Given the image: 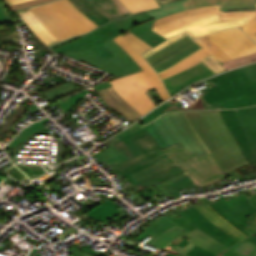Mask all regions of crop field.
<instances>
[{
  "instance_id": "8a807250",
  "label": "crop field",
  "mask_w": 256,
  "mask_h": 256,
  "mask_svg": "<svg viewBox=\"0 0 256 256\" xmlns=\"http://www.w3.org/2000/svg\"><path fill=\"white\" fill-rule=\"evenodd\" d=\"M202 83L207 87L198 90L201 98L193 103L194 106L184 107L178 103L172 107L165 103L139 121L146 124L165 112L240 108L256 104V90L242 68L222 73L216 77L194 84V86Z\"/></svg>"
},
{
  "instance_id": "ac0d7876",
  "label": "crop field",
  "mask_w": 256,
  "mask_h": 256,
  "mask_svg": "<svg viewBox=\"0 0 256 256\" xmlns=\"http://www.w3.org/2000/svg\"><path fill=\"white\" fill-rule=\"evenodd\" d=\"M17 13L32 32L48 47L98 27L81 14L68 0H56L18 10Z\"/></svg>"
},
{
  "instance_id": "34b2d1b8",
  "label": "crop field",
  "mask_w": 256,
  "mask_h": 256,
  "mask_svg": "<svg viewBox=\"0 0 256 256\" xmlns=\"http://www.w3.org/2000/svg\"><path fill=\"white\" fill-rule=\"evenodd\" d=\"M185 114L225 174L249 164L218 110Z\"/></svg>"
},
{
  "instance_id": "412701ff",
  "label": "crop field",
  "mask_w": 256,
  "mask_h": 256,
  "mask_svg": "<svg viewBox=\"0 0 256 256\" xmlns=\"http://www.w3.org/2000/svg\"><path fill=\"white\" fill-rule=\"evenodd\" d=\"M153 21L147 12L135 14L122 20H113L101 28L53 50L57 54H62L63 52L90 49L101 58L113 57L114 55L103 43L127 29L154 47L166 39L150 31Z\"/></svg>"
},
{
  "instance_id": "f4fd0767",
  "label": "crop field",
  "mask_w": 256,
  "mask_h": 256,
  "mask_svg": "<svg viewBox=\"0 0 256 256\" xmlns=\"http://www.w3.org/2000/svg\"><path fill=\"white\" fill-rule=\"evenodd\" d=\"M113 40L130 54L144 71L119 78L111 83L127 102L144 115L155 107L144 91L155 87L163 101L170 96L160 77L125 38L120 35Z\"/></svg>"
},
{
  "instance_id": "dd49c442",
  "label": "crop field",
  "mask_w": 256,
  "mask_h": 256,
  "mask_svg": "<svg viewBox=\"0 0 256 256\" xmlns=\"http://www.w3.org/2000/svg\"><path fill=\"white\" fill-rule=\"evenodd\" d=\"M143 152L120 164L111 166L120 177L126 176L135 186L176 166L147 132L131 138Z\"/></svg>"
},
{
  "instance_id": "e52e79f7",
  "label": "crop field",
  "mask_w": 256,
  "mask_h": 256,
  "mask_svg": "<svg viewBox=\"0 0 256 256\" xmlns=\"http://www.w3.org/2000/svg\"><path fill=\"white\" fill-rule=\"evenodd\" d=\"M180 113L190 132L194 135L207 154L203 156H199L197 153L190 154L183 148L179 149L176 144L163 149L164 153H167L179 166L205 186L226 178L227 176L219 168L205 144L186 119L184 113Z\"/></svg>"
},
{
  "instance_id": "d8731c3e",
  "label": "crop field",
  "mask_w": 256,
  "mask_h": 256,
  "mask_svg": "<svg viewBox=\"0 0 256 256\" xmlns=\"http://www.w3.org/2000/svg\"><path fill=\"white\" fill-rule=\"evenodd\" d=\"M219 111L244 157L250 164L256 162V106Z\"/></svg>"
},
{
  "instance_id": "5a996713",
  "label": "crop field",
  "mask_w": 256,
  "mask_h": 256,
  "mask_svg": "<svg viewBox=\"0 0 256 256\" xmlns=\"http://www.w3.org/2000/svg\"><path fill=\"white\" fill-rule=\"evenodd\" d=\"M105 45L116 57L110 59H101L90 50L63 53V55L80 60L119 77L142 71L133 58L121 47H119L113 40L105 43Z\"/></svg>"
},
{
  "instance_id": "3316defc",
  "label": "crop field",
  "mask_w": 256,
  "mask_h": 256,
  "mask_svg": "<svg viewBox=\"0 0 256 256\" xmlns=\"http://www.w3.org/2000/svg\"><path fill=\"white\" fill-rule=\"evenodd\" d=\"M222 198L216 202L211 203L206 197L202 199L207 202L217 213L226 218L230 223L240 229L244 234H246L249 239L256 243V237H253L244 228L249 224L246 217L256 211V207L247 202L248 200L242 194L232 198L228 201L219 194Z\"/></svg>"
},
{
  "instance_id": "28ad6ade",
  "label": "crop field",
  "mask_w": 256,
  "mask_h": 256,
  "mask_svg": "<svg viewBox=\"0 0 256 256\" xmlns=\"http://www.w3.org/2000/svg\"><path fill=\"white\" fill-rule=\"evenodd\" d=\"M145 131L149 132L152 135V137L156 140V142L159 144V146L162 149L174 143H176L179 146V148L182 147L181 143L178 141V139L175 137V135L172 133L169 127L166 125V123L161 118V116L158 117L156 120H154L152 123L146 125L145 127L133 133H131L126 129L122 133H120L119 135L115 136L114 138H112L111 140L105 143L111 146L112 144H115L123 140L135 156L141 153V151L135 145V143L130 139V137Z\"/></svg>"
},
{
  "instance_id": "d1516ede",
  "label": "crop field",
  "mask_w": 256,
  "mask_h": 256,
  "mask_svg": "<svg viewBox=\"0 0 256 256\" xmlns=\"http://www.w3.org/2000/svg\"><path fill=\"white\" fill-rule=\"evenodd\" d=\"M207 37L223 49L232 59L256 52V44L239 28L223 30L207 35Z\"/></svg>"
},
{
  "instance_id": "22f410ed",
  "label": "crop field",
  "mask_w": 256,
  "mask_h": 256,
  "mask_svg": "<svg viewBox=\"0 0 256 256\" xmlns=\"http://www.w3.org/2000/svg\"><path fill=\"white\" fill-rule=\"evenodd\" d=\"M219 7L217 6H204L197 7L191 10L182 11L169 16H165L154 21L152 29L160 35H164L177 28L185 26L198 19L219 14ZM151 29V30H152Z\"/></svg>"
},
{
  "instance_id": "cbeb9de0",
  "label": "crop field",
  "mask_w": 256,
  "mask_h": 256,
  "mask_svg": "<svg viewBox=\"0 0 256 256\" xmlns=\"http://www.w3.org/2000/svg\"><path fill=\"white\" fill-rule=\"evenodd\" d=\"M248 20H222L221 15H216L210 18L198 20L185 27L177 29L166 34L165 38H170L176 34L186 31L192 38H196L206 33L227 29L231 27H241Z\"/></svg>"
},
{
  "instance_id": "5142ce71",
  "label": "crop field",
  "mask_w": 256,
  "mask_h": 256,
  "mask_svg": "<svg viewBox=\"0 0 256 256\" xmlns=\"http://www.w3.org/2000/svg\"><path fill=\"white\" fill-rule=\"evenodd\" d=\"M181 216L185 217L195 226L226 245L227 247H231L235 243L239 242L234 239L232 236L228 235L222 229L218 228L212 222H210L196 207L192 206L186 210H182L181 208L175 210Z\"/></svg>"
},
{
  "instance_id": "d9b57169",
  "label": "crop field",
  "mask_w": 256,
  "mask_h": 256,
  "mask_svg": "<svg viewBox=\"0 0 256 256\" xmlns=\"http://www.w3.org/2000/svg\"><path fill=\"white\" fill-rule=\"evenodd\" d=\"M211 75H214V73L201 62L183 72L170 76L163 81L172 96L178 91L184 89L187 85Z\"/></svg>"
},
{
  "instance_id": "733c2abd",
  "label": "crop field",
  "mask_w": 256,
  "mask_h": 256,
  "mask_svg": "<svg viewBox=\"0 0 256 256\" xmlns=\"http://www.w3.org/2000/svg\"><path fill=\"white\" fill-rule=\"evenodd\" d=\"M161 116L182 143L184 149L191 153L197 152L199 155L205 154L202 147L184 124L179 112L163 114Z\"/></svg>"
},
{
  "instance_id": "4a817a6b",
  "label": "crop field",
  "mask_w": 256,
  "mask_h": 256,
  "mask_svg": "<svg viewBox=\"0 0 256 256\" xmlns=\"http://www.w3.org/2000/svg\"><path fill=\"white\" fill-rule=\"evenodd\" d=\"M103 101L111 108L117 110L130 121H134L142 115L130 104H128L111 86L106 89L98 90Z\"/></svg>"
},
{
  "instance_id": "bc2a9ffb",
  "label": "crop field",
  "mask_w": 256,
  "mask_h": 256,
  "mask_svg": "<svg viewBox=\"0 0 256 256\" xmlns=\"http://www.w3.org/2000/svg\"><path fill=\"white\" fill-rule=\"evenodd\" d=\"M200 201L203 203L197 208L214 224H216L218 227L222 228L224 231L232 235L237 240H242L244 238H248L246 235H244L240 230H238L236 227L231 225L227 220H225L223 217L218 215L208 204H206L201 198H199ZM218 221V223H216Z\"/></svg>"
},
{
  "instance_id": "214f88e0",
  "label": "crop field",
  "mask_w": 256,
  "mask_h": 256,
  "mask_svg": "<svg viewBox=\"0 0 256 256\" xmlns=\"http://www.w3.org/2000/svg\"><path fill=\"white\" fill-rule=\"evenodd\" d=\"M110 20L123 18L130 14L119 0H90Z\"/></svg>"
},
{
  "instance_id": "92a150f3",
  "label": "crop field",
  "mask_w": 256,
  "mask_h": 256,
  "mask_svg": "<svg viewBox=\"0 0 256 256\" xmlns=\"http://www.w3.org/2000/svg\"><path fill=\"white\" fill-rule=\"evenodd\" d=\"M185 237L190 239V242L208 250L215 254H218L228 248L217 242L216 240L212 239L208 235L204 234L203 232L195 229L188 234L184 235Z\"/></svg>"
},
{
  "instance_id": "dafd665d",
  "label": "crop field",
  "mask_w": 256,
  "mask_h": 256,
  "mask_svg": "<svg viewBox=\"0 0 256 256\" xmlns=\"http://www.w3.org/2000/svg\"><path fill=\"white\" fill-rule=\"evenodd\" d=\"M188 9L219 4L220 8L256 6V0H188L184 3Z\"/></svg>"
},
{
  "instance_id": "00972430",
  "label": "crop field",
  "mask_w": 256,
  "mask_h": 256,
  "mask_svg": "<svg viewBox=\"0 0 256 256\" xmlns=\"http://www.w3.org/2000/svg\"><path fill=\"white\" fill-rule=\"evenodd\" d=\"M81 13L95 24L101 26L110 21L99 10H97L88 0H69Z\"/></svg>"
},
{
  "instance_id": "a9b5d70f",
  "label": "crop field",
  "mask_w": 256,
  "mask_h": 256,
  "mask_svg": "<svg viewBox=\"0 0 256 256\" xmlns=\"http://www.w3.org/2000/svg\"><path fill=\"white\" fill-rule=\"evenodd\" d=\"M223 19H251L241 29L256 41V12L221 13Z\"/></svg>"
},
{
  "instance_id": "4177f3b9",
  "label": "crop field",
  "mask_w": 256,
  "mask_h": 256,
  "mask_svg": "<svg viewBox=\"0 0 256 256\" xmlns=\"http://www.w3.org/2000/svg\"><path fill=\"white\" fill-rule=\"evenodd\" d=\"M94 156L97 158L99 162L104 161L108 167L128 159L126 155H121L120 151L117 148H115V145L99 153L94 154Z\"/></svg>"
},
{
  "instance_id": "730fd06b",
  "label": "crop field",
  "mask_w": 256,
  "mask_h": 256,
  "mask_svg": "<svg viewBox=\"0 0 256 256\" xmlns=\"http://www.w3.org/2000/svg\"><path fill=\"white\" fill-rule=\"evenodd\" d=\"M210 53H208L206 50H201L195 54H193L192 56L188 57L187 59H185L183 62H181L179 65H177L176 67L160 74V77L163 79L165 77H168L170 75H173L175 73H178L180 71H183L199 62H201L199 59L208 55Z\"/></svg>"
},
{
  "instance_id": "eef30255",
  "label": "crop field",
  "mask_w": 256,
  "mask_h": 256,
  "mask_svg": "<svg viewBox=\"0 0 256 256\" xmlns=\"http://www.w3.org/2000/svg\"><path fill=\"white\" fill-rule=\"evenodd\" d=\"M184 233H186V231L176 225L164 234L157 237L155 240L149 243V245H153L155 247H158L159 249H163L171 241Z\"/></svg>"
},
{
  "instance_id": "ae1a2a85",
  "label": "crop field",
  "mask_w": 256,
  "mask_h": 256,
  "mask_svg": "<svg viewBox=\"0 0 256 256\" xmlns=\"http://www.w3.org/2000/svg\"><path fill=\"white\" fill-rule=\"evenodd\" d=\"M133 14L160 7L155 0H120Z\"/></svg>"
},
{
  "instance_id": "d3111659",
  "label": "crop field",
  "mask_w": 256,
  "mask_h": 256,
  "mask_svg": "<svg viewBox=\"0 0 256 256\" xmlns=\"http://www.w3.org/2000/svg\"><path fill=\"white\" fill-rule=\"evenodd\" d=\"M194 41L198 45H200L201 47L206 49L208 52L213 54L221 62L231 59L223 50H221L216 44H214L212 41H210L206 36L198 38ZM208 44H211V46H208Z\"/></svg>"
},
{
  "instance_id": "750c4746",
  "label": "crop field",
  "mask_w": 256,
  "mask_h": 256,
  "mask_svg": "<svg viewBox=\"0 0 256 256\" xmlns=\"http://www.w3.org/2000/svg\"><path fill=\"white\" fill-rule=\"evenodd\" d=\"M184 1L186 0L177 1L168 5L162 6L161 8H157L147 12L150 14L151 17L156 19L165 15H169L178 11L185 10L186 7L181 4Z\"/></svg>"
},
{
  "instance_id": "bd1437ed",
  "label": "crop field",
  "mask_w": 256,
  "mask_h": 256,
  "mask_svg": "<svg viewBox=\"0 0 256 256\" xmlns=\"http://www.w3.org/2000/svg\"><path fill=\"white\" fill-rule=\"evenodd\" d=\"M174 225H176L174 222L162 216L160 219L152 222V224L146 227L144 230L157 237Z\"/></svg>"
},
{
  "instance_id": "1d83c4d3",
  "label": "crop field",
  "mask_w": 256,
  "mask_h": 256,
  "mask_svg": "<svg viewBox=\"0 0 256 256\" xmlns=\"http://www.w3.org/2000/svg\"><path fill=\"white\" fill-rule=\"evenodd\" d=\"M192 41L189 36L184 37L172 44H170L169 46H167L166 48L162 49L161 51H159L158 53L146 58L150 63H153L159 59H161L162 57L166 56L167 54H169L170 52L174 51L175 49L179 48L180 46L188 43Z\"/></svg>"
},
{
  "instance_id": "120bbe31",
  "label": "crop field",
  "mask_w": 256,
  "mask_h": 256,
  "mask_svg": "<svg viewBox=\"0 0 256 256\" xmlns=\"http://www.w3.org/2000/svg\"><path fill=\"white\" fill-rule=\"evenodd\" d=\"M173 250L178 251L177 255L184 254L187 256H216L192 243H190L183 249L177 245L173 248Z\"/></svg>"
},
{
  "instance_id": "d32e631a",
  "label": "crop field",
  "mask_w": 256,
  "mask_h": 256,
  "mask_svg": "<svg viewBox=\"0 0 256 256\" xmlns=\"http://www.w3.org/2000/svg\"><path fill=\"white\" fill-rule=\"evenodd\" d=\"M196 187L194 183L189 179L188 176L179 179L167 186L165 188L176 198V196H179V190L183 188H194Z\"/></svg>"
},
{
  "instance_id": "5866460e",
  "label": "crop field",
  "mask_w": 256,
  "mask_h": 256,
  "mask_svg": "<svg viewBox=\"0 0 256 256\" xmlns=\"http://www.w3.org/2000/svg\"><path fill=\"white\" fill-rule=\"evenodd\" d=\"M201 48L200 46H198L197 44L184 50L183 52H181L180 54L176 55L175 57L169 59L168 61L164 62L163 64L159 65L158 67L154 68L157 72L162 71L170 66H172L173 64H175L176 62H178L179 60H181L182 58L188 56L189 54L193 53L194 51H196L197 49Z\"/></svg>"
},
{
  "instance_id": "028f5c9d",
  "label": "crop field",
  "mask_w": 256,
  "mask_h": 256,
  "mask_svg": "<svg viewBox=\"0 0 256 256\" xmlns=\"http://www.w3.org/2000/svg\"><path fill=\"white\" fill-rule=\"evenodd\" d=\"M256 61V53L249 54L231 61L223 62L221 65L226 69H231L233 67L245 65L250 62H255Z\"/></svg>"
},
{
  "instance_id": "e1f06a70",
  "label": "crop field",
  "mask_w": 256,
  "mask_h": 256,
  "mask_svg": "<svg viewBox=\"0 0 256 256\" xmlns=\"http://www.w3.org/2000/svg\"><path fill=\"white\" fill-rule=\"evenodd\" d=\"M231 249L235 250L236 252L244 256H249L256 250V244L248 239H245L237 243L236 245L232 246Z\"/></svg>"
},
{
  "instance_id": "0bd39190",
  "label": "crop field",
  "mask_w": 256,
  "mask_h": 256,
  "mask_svg": "<svg viewBox=\"0 0 256 256\" xmlns=\"http://www.w3.org/2000/svg\"><path fill=\"white\" fill-rule=\"evenodd\" d=\"M87 93H90V91L88 90H85V91H82L78 94H75L71 97H67L61 101H58L59 105H60V108L63 110L64 109V112L66 111H69L70 109L73 108V106L77 103V101L79 99H84V96L85 94Z\"/></svg>"
},
{
  "instance_id": "b80d0937",
  "label": "crop field",
  "mask_w": 256,
  "mask_h": 256,
  "mask_svg": "<svg viewBox=\"0 0 256 256\" xmlns=\"http://www.w3.org/2000/svg\"><path fill=\"white\" fill-rule=\"evenodd\" d=\"M78 88L79 87L76 86V85H73V84H70V83H66V84H64L62 86H59L57 88H54V89H52L50 91L45 92L46 95L41 97V98H39V99H42V98H44L46 96H48L51 99H53V98H55V97H57L59 95L65 94L67 92L73 91V90L78 89ZM39 99H35V101H37Z\"/></svg>"
},
{
  "instance_id": "c035e120",
  "label": "crop field",
  "mask_w": 256,
  "mask_h": 256,
  "mask_svg": "<svg viewBox=\"0 0 256 256\" xmlns=\"http://www.w3.org/2000/svg\"><path fill=\"white\" fill-rule=\"evenodd\" d=\"M133 46L134 48L140 52L141 54L153 47L147 44L145 41L140 39L139 37L135 36L131 32L124 36Z\"/></svg>"
},
{
  "instance_id": "c21b1889",
  "label": "crop field",
  "mask_w": 256,
  "mask_h": 256,
  "mask_svg": "<svg viewBox=\"0 0 256 256\" xmlns=\"http://www.w3.org/2000/svg\"><path fill=\"white\" fill-rule=\"evenodd\" d=\"M183 173V171L177 166L155 178H152L151 180L145 182V184L148 183H155V182H159V181H164V180H169L175 176H177L178 174Z\"/></svg>"
},
{
  "instance_id": "03da06ac",
  "label": "crop field",
  "mask_w": 256,
  "mask_h": 256,
  "mask_svg": "<svg viewBox=\"0 0 256 256\" xmlns=\"http://www.w3.org/2000/svg\"><path fill=\"white\" fill-rule=\"evenodd\" d=\"M200 60L204 62L215 74L225 71V69L219 64L220 61L211 54L209 57L206 56Z\"/></svg>"
},
{
  "instance_id": "b54c1fbb",
  "label": "crop field",
  "mask_w": 256,
  "mask_h": 256,
  "mask_svg": "<svg viewBox=\"0 0 256 256\" xmlns=\"http://www.w3.org/2000/svg\"><path fill=\"white\" fill-rule=\"evenodd\" d=\"M253 205L256 206V195L250 198ZM250 220L248 221L250 224L245 228L248 232H250L253 236L256 235V212L248 217Z\"/></svg>"
},
{
  "instance_id": "5d738f31",
  "label": "crop field",
  "mask_w": 256,
  "mask_h": 256,
  "mask_svg": "<svg viewBox=\"0 0 256 256\" xmlns=\"http://www.w3.org/2000/svg\"><path fill=\"white\" fill-rule=\"evenodd\" d=\"M184 36H187V34H186V33H183V34H181V35H178V36H176V37H174V38H172V39H170V40L164 42L163 44H161V45L155 47L154 49H152V50H150V51H148L147 53L144 54L145 58L148 57L149 55H151V54H153V53H155V52L161 50L162 48L166 47V46L169 45L170 43H172V42H174V41H176V40H178L179 38L184 37Z\"/></svg>"
},
{
  "instance_id": "d23c7cc5",
  "label": "crop field",
  "mask_w": 256,
  "mask_h": 256,
  "mask_svg": "<svg viewBox=\"0 0 256 256\" xmlns=\"http://www.w3.org/2000/svg\"><path fill=\"white\" fill-rule=\"evenodd\" d=\"M48 1H51V0H30V1H25V2L10 5V8L11 10H15V9H20V8L48 2Z\"/></svg>"
},
{
  "instance_id": "425ffa30",
  "label": "crop field",
  "mask_w": 256,
  "mask_h": 256,
  "mask_svg": "<svg viewBox=\"0 0 256 256\" xmlns=\"http://www.w3.org/2000/svg\"><path fill=\"white\" fill-rule=\"evenodd\" d=\"M193 44H195L194 41H192V42H190V43H188V44H186V45L180 47L179 49H177V50H175L174 52L170 53L169 55H167L166 57L162 58L161 60H159V61H157V62L151 64L152 67L154 68V67L158 66L159 64H161V63H163L164 61L168 60L169 58L175 56L176 54L180 53L182 50H184L185 48H187V47H189V46H191V45H193Z\"/></svg>"
},
{
  "instance_id": "25e5ab78",
  "label": "crop field",
  "mask_w": 256,
  "mask_h": 256,
  "mask_svg": "<svg viewBox=\"0 0 256 256\" xmlns=\"http://www.w3.org/2000/svg\"><path fill=\"white\" fill-rule=\"evenodd\" d=\"M167 217L170 218L171 220H173L174 222L178 223L180 226H182L184 229H186L188 231H191V230L197 228L183 217H180L178 219H176V218L174 219L169 215H167Z\"/></svg>"
},
{
  "instance_id": "73cf0c24",
  "label": "crop field",
  "mask_w": 256,
  "mask_h": 256,
  "mask_svg": "<svg viewBox=\"0 0 256 256\" xmlns=\"http://www.w3.org/2000/svg\"><path fill=\"white\" fill-rule=\"evenodd\" d=\"M184 176H186V174L184 173V174H180V175H178L177 177H175V178H173V179H171V180H169V181H166V182H164V183H162V184H159V183H156V184H154L164 195H166V196H170L173 200H175V198L163 187L164 185H166V184H168V183H170V182H172V181H174V180H176V179H178V178H182V177H184Z\"/></svg>"
},
{
  "instance_id": "89e229c0",
  "label": "crop field",
  "mask_w": 256,
  "mask_h": 256,
  "mask_svg": "<svg viewBox=\"0 0 256 256\" xmlns=\"http://www.w3.org/2000/svg\"><path fill=\"white\" fill-rule=\"evenodd\" d=\"M10 15L7 13V11L2 7L0 4V23L6 22V21H11Z\"/></svg>"
},
{
  "instance_id": "1f2cbd36",
  "label": "crop field",
  "mask_w": 256,
  "mask_h": 256,
  "mask_svg": "<svg viewBox=\"0 0 256 256\" xmlns=\"http://www.w3.org/2000/svg\"><path fill=\"white\" fill-rule=\"evenodd\" d=\"M256 7L220 9L221 12L229 11H255Z\"/></svg>"
},
{
  "instance_id": "dbb93151",
  "label": "crop field",
  "mask_w": 256,
  "mask_h": 256,
  "mask_svg": "<svg viewBox=\"0 0 256 256\" xmlns=\"http://www.w3.org/2000/svg\"><path fill=\"white\" fill-rule=\"evenodd\" d=\"M243 69L246 72L249 80L251 81V83L253 84V86L256 89V78H255V76L251 73V71L247 68V66L243 67Z\"/></svg>"
},
{
  "instance_id": "0fb4a251",
  "label": "crop field",
  "mask_w": 256,
  "mask_h": 256,
  "mask_svg": "<svg viewBox=\"0 0 256 256\" xmlns=\"http://www.w3.org/2000/svg\"><path fill=\"white\" fill-rule=\"evenodd\" d=\"M119 145H121V146L124 148V150H125L126 153L128 154V155H127L128 158L133 157L132 153L129 151V149L126 147V145L123 143V141L119 142Z\"/></svg>"
},
{
  "instance_id": "1d79db26",
  "label": "crop field",
  "mask_w": 256,
  "mask_h": 256,
  "mask_svg": "<svg viewBox=\"0 0 256 256\" xmlns=\"http://www.w3.org/2000/svg\"><path fill=\"white\" fill-rule=\"evenodd\" d=\"M167 155V154H166ZM168 156V155H167ZM169 157V156H168ZM170 158V157H169ZM171 159V158H170ZM182 169V168H181ZM183 170V169H182ZM184 171V170H183ZM190 178H191V180L196 184V186L199 188V189H201V188H203V187H205V186H202L200 183H198L194 178H192L186 171H184Z\"/></svg>"
},
{
  "instance_id": "9d1cf04e",
  "label": "crop field",
  "mask_w": 256,
  "mask_h": 256,
  "mask_svg": "<svg viewBox=\"0 0 256 256\" xmlns=\"http://www.w3.org/2000/svg\"><path fill=\"white\" fill-rule=\"evenodd\" d=\"M109 86H111L110 82H106V83H104V84L97 85V86H95L94 88H95L96 90H98V89L106 88V87H109Z\"/></svg>"
},
{
  "instance_id": "447ae74e",
  "label": "crop field",
  "mask_w": 256,
  "mask_h": 256,
  "mask_svg": "<svg viewBox=\"0 0 256 256\" xmlns=\"http://www.w3.org/2000/svg\"><path fill=\"white\" fill-rule=\"evenodd\" d=\"M139 195H144V196H146V197H154L152 194H148V193H145V192H142V193H136V194H134V198H137Z\"/></svg>"
},
{
  "instance_id": "0765c3eb",
  "label": "crop field",
  "mask_w": 256,
  "mask_h": 256,
  "mask_svg": "<svg viewBox=\"0 0 256 256\" xmlns=\"http://www.w3.org/2000/svg\"><path fill=\"white\" fill-rule=\"evenodd\" d=\"M147 236H150V234H145V235H143V236H141L140 238H138L137 240H139L140 242L143 240V239H145ZM153 237V236H152ZM153 239H155V237H153L151 240H148L147 242H146V244H148L149 242H151Z\"/></svg>"
},
{
  "instance_id": "db79e9e6",
  "label": "crop field",
  "mask_w": 256,
  "mask_h": 256,
  "mask_svg": "<svg viewBox=\"0 0 256 256\" xmlns=\"http://www.w3.org/2000/svg\"><path fill=\"white\" fill-rule=\"evenodd\" d=\"M174 1H177V0H163V1H159L158 3L160 6H162V5L174 2Z\"/></svg>"
},
{
  "instance_id": "7b73153f",
  "label": "crop field",
  "mask_w": 256,
  "mask_h": 256,
  "mask_svg": "<svg viewBox=\"0 0 256 256\" xmlns=\"http://www.w3.org/2000/svg\"><path fill=\"white\" fill-rule=\"evenodd\" d=\"M4 1L7 3V5H9V4H13V3H17L25 0H4Z\"/></svg>"
},
{
  "instance_id": "78b8030e",
  "label": "crop field",
  "mask_w": 256,
  "mask_h": 256,
  "mask_svg": "<svg viewBox=\"0 0 256 256\" xmlns=\"http://www.w3.org/2000/svg\"><path fill=\"white\" fill-rule=\"evenodd\" d=\"M248 67H249V69L253 72V74L256 76V64H254V65H249Z\"/></svg>"
},
{
  "instance_id": "0f1d7ab4",
  "label": "crop field",
  "mask_w": 256,
  "mask_h": 256,
  "mask_svg": "<svg viewBox=\"0 0 256 256\" xmlns=\"http://www.w3.org/2000/svg\"><path fill=\"white\" fill-rule=\"evenodd\" d=\"M79 37H81V36H79ZM76 38H78V37H74V38H72V39H70V40H68V41H66V42H63V43H61V44L52 46L51 49H53V48H55V47H58V46H60V45H62V44H65V43H67V42H70V41H72V40H74V39H76Z\"/></svg>"
},
{
  "instance_id": "e1d0b9f6",
  "label": "crop field",
  "mask_w": 256,
  "mask_h": 256,
  "mask_svg": "<svg viewBox=\"0 0 256 256\" xmlns=\"http://www.w3.org/2000/svg\"><path fill=\"white\" fill-rule=\"evenodd\" d=\"M190 242L183 240L182 242H180L178 245L181 246L182 248L185 247L187 244H189Z\"/></svg>"
},
{
  "instance_id": "ae633e8c",
  "label": "crop field",
  "mask_w": 256,
  "mask_h": 256,
  "mask_svg": "<svg viewBox=\"0 0 256 256\" xmlns=\"http://www.w3.org/2000/svg\"><path fill=\"white\" fill-rule=\"evenodd\" d=\"M224 256H239L237 254H235L234 252L230 251V252H227L225 254H223Z\"/></svg>"
},
{
  "instance_id": "d14b1444",
  "label": "crop field",
  "mask_w": 256,
  "mask_h": 256,
  "mask_svg": "<svg viewBox=\"0 0 256 256\" xmlns=\"http://www.w3.org/2000/svg\"><path fill=\"white\" fill-rule=\"evenodd\" d=\"M38 249L36 248H33V250L31 251L30 255L29 256H32ZM40 254H36L35 256H39Z\"/></svg>"
},
{
  "instance_id": "c39391a2",
  "label": "crop field",
  "mask_w": 256,
  "mask_h": 256,
  "mask_svg": "<svg viewBox=\"0 0 256 256\" xmlns=\"http://www.w3.org/2000/svg\"><path fill=\"white\" fill-rule=\"evenodd\" d=\"M162 256H163V255H162ZM165 256H177V255H175V254H173V253H170V252H167V254H166ZM181 256H184V255H181Z\"/></svg>"
},
{
  "instance_id": "ade564c9",
  "label": "crop field",
  "mask_w": 256,
  "mask_h": 256,
  "mask_svg": "<svg viewBox=\"0 0 256 256\" xmlns=\"http://www.w3.org/2000/svg\"><path fill=\"white\" fill-rule=\"evenodd\" d=\"M201 49H202V48H201ZM199 50H200V49H199ZM197 51H198V50H197ZM194 53H195V52H194ZM191 55H192V54H191ZM189 56H190V55H189ZM186 58H187V57H186ZM184 59H185V58H184ZM184 59H182V60H184ZM182 60H181V61H182ZM181 61H179L178 63H180ZM178 63H176L175 65H177ZM175 65H173V66H175ZM173 66H172V67H173ZM170 68H171V67H170ZM168 69H169V68H168ZM166 70H167V69H166ZM164 71H165V70H164ZM162 72H163V71H162ZM159 73H161V72H159ZM159 73H158V74H159Z\"/></svg>"
},
{
  "instance_id": "c5b07064",
  "label": "crop field",
  "mask_w": 256,
  "mask_h": 256,
  "mask_svg": "<svg viewBox=\"0 0 256 256\" xmlns=\"http://www.w3.org/2000/svg\"><path fill=\"white\" fill-rule=\"evenodd\" d=\"M251 256H256V251Z\"/></svg>"
},
{
  "instance_id": "c3a83c6f",
  "label": "crop field",
  "mask_w": 256,
  "mask_h": 256,
  "mask_svg": "<svg viewBox=\"0 0 256 256\" xmlns=\"http://www.w3.org/2000/svg\"><path fill=\"white\" fill-rule=\"evenodd\" d=\"M181 238L186 239V238H184L183 236H182ZM187 240H188V239H187Z\"/></svg>"
},
{
  "instance_id": "fb207236",
  "label": "crop field",
  "mask_w": 256,
  "mask_h": 256,
  "mask_svg": "<svg viewBox=\"0 0 256 256\" xmlns=\"http://www.w3.org/2000/svg\"><path fill=\"white\" fill-rule=\"evenodd\" d=\"M85 256H90V255L86 254Z\"/></svg>"
},
{
  "instance_id": "7312dd0a",
  "label": "crop field",
  "mask_w": 256,
  "mask_h": 256,
  "mask_svg": "<svg viewBox=\"0 0 256 256\" xmlns=\"http://www.w3.org/2000/svg\"><path fill=\"white\" fill-rule=\"evenodd\" d=\"M156 1H158V0H156Z\"/></svg>"
}]
</instances>
